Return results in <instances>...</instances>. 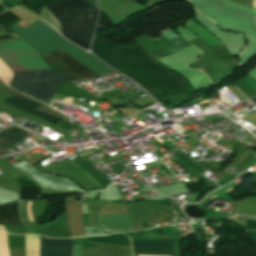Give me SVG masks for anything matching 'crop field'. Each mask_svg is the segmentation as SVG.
<instances>
[{"instance_id":"1","label":"crop field","mask_w":256,"mask_h":256,"mask_svg":"<svg viewBox=\"0 0 256 256\" xmlns=\"http://www.w3.org/2000/svg\"><path fill=\"white\" fill-rule=\"evenodd\" d=\"M92 51L101 60L133 78L155 97L182 93L187 80L167 70L162 63L137 43L121 47L94 37Z\"/></svg>"},{"instance_id":"2","label":"crop field","mask_w":256,"mask_h":256,"mask_svg":"<svg viewBox=\"0 0 256 256\" xmlns=\"http://www.w3.org/2000/svg\"><path fill=\"white\" fill-rule=\"evenodd\" d=\"M0 58L12 72L51 69L21 38L0 40ZM13 74L9 87L43 103L55 93L62 79L53 70Z\"/></svg>"},{"instance_id":"3","label":"crop field","mask_w":256,"mask_h":256,"mask_svg":"<svg viewBox=\"0 0 256 256\" xmlns=\"http://www.w3.org/2000/svg\"><path fill=\"white\" fill-rule=\"evenodd\" d=\"M45 6L60 22L63 36L88 50L96 8L83 0H57Z\"/></svg>"},{"instance_id":"4","label":"crop field","mask_w":256,"mask_h":256,"mask_svg":"<svg viewBox=\"0 0 256 256\" xmlns=\"http://www.w3.org/2000/svg\"><path fill=\"white\" fill-rule=\"evenodd\" d=\"M52 54H54L57 58H59L62 62L68 65L71 69H73L84 79L98 76L96 73L92 72L91 70L80 64L78 61H76L73 57H71L64 51L54 52ZM52 54L50 53L42 55L41 58L58 75H60L63 79H65L68 82L83 79Z\"/></svg>"},{"instance_id":"5","label":"crop field","mask_w":256,"mask_h":256,"mask_svg":"<svg viewBox=\"0 0 256 256\" xmlns=\"http://www.w3.org/2000/svg\"><path fill=\"white\" fill-rule=\"evenodd\" d=\"M162 36L181 49L191 46L181 37L172 33L171 30L165 31ZM162 36L160 39L153 41L144 35L135 39V41L142 47H144L146 50L151 52L153 55H155L158 59L172 55L181 50L169 41H167Z\"/></svg>"},{"instance_id":"6","label":"crop field","mask_w":256,"mask_h":256,"mask_svg":"<svg viewBox=\"0 0 256 256\" xmlns=\"http://www.w3.org/2000/svg\"><path fill=\"white\" fill-rule=\"evenodd\" d=\"M13 166L16 169H18L19 171H21L23 174L27 175L33 181H35L40 187L67 190V191H75V192L84 191L79 186H77L75 183H73L65 178L39 174L26 162L18 163Z\"/></svg>"},{"instance_id":"7","label":"crop field","mask_w":256,"mask_h":256,"mask_svg":"<svg viewBox=\"0 0 256 256\" xmlns=\"http://www.w3.org/2000/svg\"><path fill=\"white\" fill-rule=\"evenodd\" d=\"M135 254L171 255L174 256V242L163 240H131ZM136 255V256H153Z\"/></svg>"},{"instance_id":"8","label":"crop field","mask_w":256,"mask_h":256,"mask_svg":"<svg viewBox=\"0 0 256 256\" xmlns=\"http://www.w3.org/2000/svg\"><path fill=\"white\" fill-rule=\"evenodd\" d=\"M12 30L28 44H30L39 55L61 50L55 44L44 38L30 27L24 30V28L16 23Z\"/></svg>"},{"instance_id":"9","label":"crop field","mask_w":256,"mask_h":256,"mask_svg":"<svg viewBox=\"0 0 256 256\" xmlns=\"http://www.w3.org/2000/svg\"><path fill=\"white\" fill-rule=\"evenodd\" d=\"M40 256H71L72 239H48L40 236Z\"/></svg>"},{"instance_id":"10","label":"crop field","mask_w":256,"mask_h":256,"mask_svg":"<svg viewBox=\"0 0 256 256\" xmlns=\"http://www.w3.org/2000/svg\"><path fill=\"white\" fill-rule=\"evenodd\" d=\"M97 223L100 228L109 232L132 231L129 214L123 215H102L97 217Z\"/></svg>"},{"instance_id":"11","label":"crop field","mask_w":256,"mask_h":256,"mask_svg":"<svg viewBox=\"0 0 256 256\" xmlns=\"http://www.w3.org/2000/svg\"><path fill=\"white\" fill-rule=\"evenodd\" d=\"M30 26L34 27L39 33L43 34L44 36L55 42L73 57L78 54L86 53L79 47L68 42L66 39L57 34L53 29H51L49 26L39 20Z\"/></svg>"},{"instance_id":"12","label":"crop field","mask_w":256,"mask_h":256,"mask_svg":"<svg viewBox=\"0 0 256 256\" xmlns=\"http://www.w3.org/2000/svg\"><path fill=\"white\" fill-rule=\"evenodd\" d=\"M4 102H6V103H8V104H10V105H12L16 108H19L23 111H26L30 114H33L37 117H40L44 120H47L51 123H54V122L59 120L57 118H54L52 116L46 115L44 113H41L39 111H36V110L32 109V108H35V107H40L41 104L35 103V102L27 100V99H23V98H19V97H9L6 100H4Z\"/></svg>"},{"instance_id":"13","label":"crop field","mask_w":256,"mask_h":256,"mask_svg":"<svg viewBox=\"0 0 256 256\" xmlns=\"http://www.w3.org/2000/svg\"><path fill=\"white\" fill-rule=\"evenodd\" d=\"M30 135L16 127L9 126L0 131V149L4 150Z\"/></svg>"},{"instance_id":"14","label":"crop field","mask_w":256,"mask_h":256,"mask_svg":"<svg viewBox=\"0 0 256 256\" xmlns=\"http://www.w3.org/2000/svg\"><path fill=\"white\" fill-rule=\"evenodd\" d=\"M17 201L0 205V225L21 223L17 212Z\"/></svg>"},{"instance_id":"15","label":"crop field","mask_w":256,"mask_h":256,"mask_svg":"<svg viewBox=\"0 0 256 256\" xmlns=\"http://www.w3.org/2000/svg\"><path fill=\"white\" fill-rule=\"evenodd\" d=\"M80 63L85 65L86 67L90 68L94 72H96L99 75L114 72V70L108 68L103 63H101L98 59H96L91 54L87 53L85 55H81L78 57H75Z\"/></svg>"},{"instance_id":"16","label":"crop field","mask_w":256,"mask_h":256,"mask_svg":"<svg viewBox=\"0 0 256 256\" xmlns=\"http://www.w3.org/2000/svg\"><path fill=\"white\" fill-rule=\"evenodd\" d=\"M26 256H39V236H25Z\"/></svg>"},{"instance_id":"17","label":"crop field","mask_w":256,"mask_h":256,"mask_svg":"<svg viewBox=\"0 0 256 256\" xmlns=\"http://www.w3.org/2000/svg\"><path fill=\"white\" fill-rule=\"evenodd\" d=\"M28 206H29V200H19V204H18V212L20 214L21 220L23 223L25 222H29V221H34L33 219V214H32V210H31V206H32V201H30V206H29V212H30V216H31V220H30V216H29V212H28Z\"/></svg>"},{"instance_id":"18","label":"crop field","mask_w":256,"mask_h":256,"mask_svg":"<svg viewBox=\"0 0 256 256\" xmlns=\"http://www.w3.org/2000/svg\"><path fill=\"white\" fill-rule=\"evenodd\" d=\"M0 88H1L5 93H7L9 96H20V97H24V98L30 99V98H28V97H26V96H24V95H22V94H20V93H18V92H16V91L12 90V89H10V88H7L1 81H0ZM30 100H32V99H30ZM33 101H34V100H33ZM35 102H36V101H35Z\"/></svg>"},{"instance_id":"19","label":"crop field","mask_w":256,"mask_h":256,"mask_svg":"<svg viewBox=\"0 0 256 256\" xmlns=\"http://www.w3.org/2000/svg\"><path fill=\"white\" fill-rule=\"evenodd\" d=\"M242 80L245 81L251 87V89L256 93V80L255 79H253L251 76L247 75Z\"/></svg>"},{"instance_id":"20","label":"crop field","mask_w":256,"mask_h":256,"mask_svg":"<svg viewBox=\"0 0 256 256\" xmlns=\"http://www.w3.org/2000/svg\"><path fill=\"white\" fill-rule=\"evenodd\" d=\"M246 229L256 230V220L246 219Z\"/></svg>"},{"instance_id":"21","label":"crop field","mask_w":256,"mask_h":256,"mask_svg":"<svg viewBox=\"0 0 256 256\" xmlns=\"http://www.w3.org/2000/svg\"><path fill=\"white\" fill-rule=\"evenodd\" d=\"M73 256H80V246L73 245Z\"/></svg>"},{"instance_id":"22","label":"crop field","mask_w":256,"mask_h":256,"mask_svg":"<svg viewBox=\"0 0 256 256\" xmlns=\"http://www.w3.org/2000/svg\"><path fill=\"white\" fill-rule=\"evenodd\" d=\"M96 7L95 0H86Z\"/></svg>"}]
</instances>
